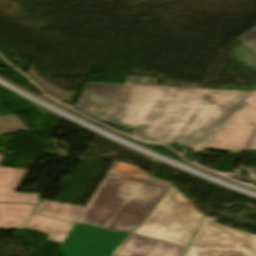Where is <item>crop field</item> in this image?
<instances>
[{"instance_id":"crop-field-12","label":"crop field","mask_w":256,"mask_h":256,"mask_svg":"<svg viewBox=\"0 0 256 256\" xmlns=\"http://www.w3.org/2000/svg\"><path fill=\"white\" fill-rule=\"evenodd\" d=\"M236 60L256 71V52L244 44H240L232 54Z\"/></svg>"},{"instance_id":"crop-field-11","label":"crop field","mask_w":256,"mask_h":256,"mask_svg":"<svg viewBox=\"0 0 256 256\" xmlns=\"http://www.w3.org/2000/svg\"><path fill=\"white\" fill-rule=\"evenodd\" d=\"M156 240L132 235L114 256H144Z\"/></svg>"},{"instance_id":"crop-field-18","label":"crop field","mask_w":256,"mask_h":256,"mask_svg":"<svg viewBox=\"0 0 256 256\" xmlns=\"http://www.w3.org/2000/svg\"><path fill=\"white\" fill-rule=\"evenodd\" d=\"M222 89L247 90L248 88H234V87L226 86V87H224Z\"/></svg>"},{"instance_id":"crop-field-7","label":"crop field","mask_w":256,"mask_h":256,"mask_svg":"<svg viewBox=\"0 0 256 256\" xmlns=\"http://www.w3.org/2000/svg\"><path fill=\"white\" fill-rule=\"evenodd\" d=\"M2 156H0V161ZM0 167V202L35 203L39 194L15 193L25 172Z\"/></svg>"},{"instance_id":"crop-field-19","label":"crop field","mask_w":256,"mask_h":256,"mask_svg":"<svg viewBox=\"0 0 256 256\" xmlns=\"http://www.w3.org/2000/svg\"><path fill=\"white\" fill-rule=\"evenodd\" d=\"M185 256H191V252H190V250H187V252H186Z\"/></svg>"},{"instance_id":"crop-field-10","label":"crop field","mask_w":256,"mask_h":256,"mask_svg":"<svg viewBox=\"0 0 256 256\" xmlns=\"http://www.w3.org/2000/svg\"><path fill=\"white\" fill-rule=\"evenodd\" d=\"M83 209L82 206L43 200L36 213L75 223Z\"/></svg>"},{"instance_id":"crop-field-5","label":"crop field","mask_w":256,"mask_h":256,"mask_svg":"<svg viewBox=\"0 0 256 256\" xmlns=\"http://www.w3.org/2000/svg\"><path fill=\"white\" fill-rule=\"evenodd\" d=\"M206 217L189 249H231L256 252V236L213 223Z\"/></svg>"},{"instance_id":"crop-field-2","label":"crop field","mask_w":256,"mask_h":256,"mask_svg":"<svg viewBox=\"0 0 256 256\" xmlns=\"http://www.w3.org/2000/svg\"><path fill=\"white\" fill-rule=\"evenodd\" d=\"M171 186L114 162L76 223L133 233Z\"/></svg>"},{"instance_id":"crop-field-8","label":"crop field","mask_w":256,"mask_h":256,"mask_svg":"<svg viewBox=\"0 0 256 256\" xmlns=\"http://www.w3.org/2000/svg\"><path fill=\"white\" fill-rule=\"evenodd\" d=\"M72 223L33 214L24 229L50 235L48 242L63 244Z\"/></svg>"},{"instance_id":"crop-field-20","label":"crop field","mask_w":256,"mask_h":256,"mask_svg":"<svg viewBox=\"0 0 256 256\" xmlns=\"http://www.w3.org/2000/svg\"><path fill=\"white\" fill-rule=\"evenodd\" d=\"M249 256H256V253L248 252Z\"/></svg>"},{"instance_id":"crop-field-3","label":"crop field","mask_w":256,"mask_h":256,"mask_svg":"<svg viewBox=\"0 0 256 256\" xmlns=\"http://www.w3.org/2000/svg\"><path fill=\"white\" fill-rule=\"evenodd\" d=\"M203 216L173 185L134 234L187 247Z\"/></svg>"},{"instance_id":"crop-field-15","label":"crop field","mask_w":256,"mask_h":256,"mask_svg":"<svg viewBox=\"0 0 256 256\" xmlns=\"http://www.w3.org/2000/svg\"><path fill=\"white\" fill-rule=\"evenodd\" d=\"M192 256H248L244 251L230 250H191Z\"/></svg>"},{"instance_id":"crop-field-14","label":"crop field","mask_w":256,"mask_h":256,"mask_svg":"<svg viewBox=\"0 0 256 256\" xmlns=\"http://www.w3.org/2000/svg\"><path fill=\"white\" fill-rule=\"evenodd\" d=\"M28 130L14 115L0 117V134Z\"/></svg>"},{"instance_id":"crop-field-13","label":"crop field","mask_w":256,"mask_h":256,"mask_svg":"<svg viewBox=\"0 0 256 256\" xmlns=\"http://www.w3.org/2000/svg\"><path fill=\"white\" fill-rule=\"evenodd\" d=\"M184 248L157 241L145 256H182Z\"/></svg>"},{"instance_id":"crop-field-1","label":"crop field","mask_w":256,"mask_h":256,"mask_svg":"<svg viewBox=\"0 0 256 256\" xmlns=\"http://www.w3.org/2000/svg\"><path fill=\"white\" fill-rule=\"evenodd\" d=\"M247 93L124 85L103 120L146 142L184 140L200 151Z\"/></svg>"},{"instance_id":"crop-field-17","label":"crop field","mask_w":256,"mask_h":256,"mask_svg":"<svg viewBox=\"0 0 256 256\" xmlns=\"http://www.w3.org/2000/svg\"><path fill=\"white\" fill-rule=\"evenodd\" d=\"M243 150L256 152V127L254 128Z\"/></svg>"},{"instance_id":"crop-field-9","label":"crop field","mask_w":256,"mask_h":256,"mask_svg":"<svg viewBox=\"0 0 256 256\" xmlns=\"http://www.w3.org/2000/svg\"><path fill=\"white\" fill-rule=\"evenodd\" d=\"M35 205L0 203V229H13L25 223Z\"/></svg>"},{"instance_id":"crop-field-4","label":"crop field","mask_w":256,"mask_h":256,"mask_svg":"<svg viewBox=\"0 0 256 256\" xmlns=\"http://www.w3.org/2000/svg\"><path fill=\"white\" fill-rule=\"evenodd\" d=\"M247 98L250 100L240 105L205 149L240 154L256 126V91H251Z\"/></svg>"},{"instance_id":"crop-field-6","label":"crop field","mask_w":256,"mask_h":256,"mask_svg":"<svg viewBox=\"0 0 256 256\" xmlns=\"http://www.w3.org/2000/svg\"><path fill=\"white\" fill-rule=\"evenodd\" d=\"M122 86L123 85L89 83L76 107L87 114L102 120L120 92ZM89 105H99V107L97 110L91 112L85 109Z\"/></svg>"},{"instance_id":"crop-field-16","label":"crop field","mask_w":256,"mask_h":256,"mask_svg":"<svg viewBox=\"0 0 256 256\" xmlns=\"http://www.w3.org/2000/svg\"><path fill=\"white\" fill-rule=\"evenodd\" d=\"M237 39L256 51V28Z\"/></svg>"}]
</instances>
